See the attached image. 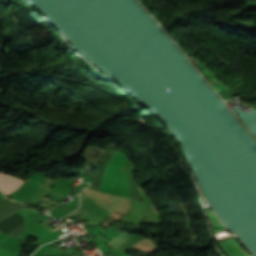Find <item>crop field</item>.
Wrapping results in <instances>:
<instances>
[{
  "label": "crop field",
  "instance_id": "1",
  "mask_svg": "<svg viewBox=\"0 0 256 256\" xmlns=\"http://www.w3.org/2000/svg\"><path fill=\"white\" fill-rule=\"evenodd\" d=\"M23 180L0 172V190L6 194L14 191Z\"/></svg>",
  "mask_w": 256,
  "mask_h": 256
}]
</instances>
